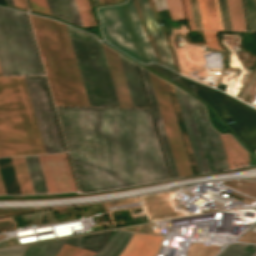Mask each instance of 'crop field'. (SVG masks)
I'll use <instances>...</instances> for the list:
<instances>
[{
	"mask_svg": "<svg viewBox=\"0 0 256 256\" xmlns=\"http://www.w3.org/2000/svg\"><path fill=\"white\" fill-rule=\"evenodd\" d=\"M128 4V7H129V10H130V14H131V17H132V20H133V23H134V26H135V30H136V33H137V36L144 48V51L149 59L150 62H157V59H156V56H155V53L140 25V22H139V19H138V16H137V13L135 11V8H134V5H133V2L132 0H129L127 2ZM140 34H142L143 36H140ZM158 63V62H157Z\"/></svg>",
	"mask_w": 256,
	"mask_h": 256,
	"instance_id": "92a150f3",
	"label": "crop field"
},
{
	"mask_svg": "<svg viewBox=\"0 0 256 256\" xmlns=\"http://www.w3.org/2000/svg\"><path fill=\"white\" fill-rule=\"evenodd\" d=\"M188 99H189L190 106H191V109H192V112H193V116H194V119H195L197 130H198V133H199V136H200V140H201V143H202L204 154H205V157H206V160H207L209 171L210 172L216 171L214 163H213V159H212V156H211V153H210V149H209V146H208V142H207V139H206V135H205V132H204V129H203V125H202V122H201V118H200V115H199V111H198V108H197V105H196V101H195V99H193L189 95H188Z\"/></svg>",
	"mask_w": 256,
	"mask_h": 256,
	"instance_id": "bc2a9ffb",
	"label": "crop field"
},
{
	"mask_svg": "<svg viewBox=\"0 0 256 256\" xmlns=\"http://www.w3.org/2000/svg\"><path fill=\"white\" fill-rule=\"evenodd\" d=\"M94 3H95V5L100 4V3H99V0H94Z\"/></svg>",
	"mask_w": 256,
	"mask_h": 256,
	"instance_id": "0fb4a251",
	"label": "crop field"
},
{
	"mask_svg": "<svg viewBox=\"0 0 256 256\" xmlns=\"http://www.w3.org/2000/svg\"><path fill=\"white\" fill-rule=\"evenodd\" d=\"M117 2H119V1H122V0H116Z\"/></svg>",
	"mask_w": 256,
	"mask_h": 256,
	"instance_id": "0765c3eb",
	"label": "crop field"
},
{
	"mask_svg": "<svg viewBox=\"0 0 256 256\" xmlns=\"http://www.w3.org/2000/svg\"><path fill=\"white\" fill-rule=\"evenodd\" d=\"M142 2H143V5H144V7H145L149 17H150V20H151L153 26L156 28V30L158 32V35H159V37H160V39L162 41V44H163V47L165 49L167 60L169 62L170 68L173 69V64H172V60H171V53H170V51H169V49L167 47V44H166V41H165V39L163 37L162 31H161V29H160V27H159V25H158L154 15H153V12H152V10L150 8V5H149L147 0H142Z\"/></svg>",
	"mask_w": 256,
	"mask_h": 256,
	"instance_id": "d3111659",
	"label": "crop field"
},
{
	"mask_svg": "<svg viewBox=\"0 0 256 256\" xmlns=\"http://www.w3.org/2000/svg\"><path fill=\"white\" fill-rule=\"evenodd\" d=\"M215 2H216V7H217V12H218V17H219L220 28H221V30H223V28H222V23H221L220 12H219V7H218V1H217V0H215Z\"/></svg>",
	"mask_w": 256,
	"mask_h": 256,
	"instance_id": "89e229c0",
	"label": "crop field"
},
{
	"mask_svg": "<svg viewBox=\"0 0 256 256\" xmlns=\"http://www.w3.org/2000/svg\"><path fill=\"white\" fill-rule=\"evenodd\" d=\"M26 246L0 250V256H21Z\"/></svg>",
	"mask_w": 256,
	"mask_h": 256,
	"instance_id": "b54c1fbb",
	"label": "crop field"
},
{
	"mask_svg": "<svg viewBox=\"0 0 256 256\" xmlns=\"http://www.w3.org/2000/svg\"><path fill=\"white\" fill-rule=\"evenodd\" d=\"M56 106H84L58 22L29 15Z\"/></svg>",
	"mask_w": 256,
	"mask_h": 256,
	"instance_id": "34b2d1b8",
	"label": "crop field"
},
{
	"mask_svg": "<svg viewBox=\"0 0 256 256\" xmlns=\"http://www.w3.org/2000/svg\"><path fill=\"white\" fill-rule=\"evenodd\" d=\"M204 30H211L205 0H198Z\"/></svg>",
	"mask_w": 256,
	"mask_h": 256,
	"instance_id": "0bd39190",
	"label": "crop field"
},
{
	"mask_svg": "<svg viewBox=\"0 0 256 256\" xmlns=\"http://www.w3.org/2000/svg\"><path fill=\"white\" fill-rule=\"evenodd\" d=\"M6 156H11L8 145L5 139V135L2 129V125L0 122V157H6Z\"/></svg>",
	"mask_w": 256,
	"mask_h": 256,
	"instance_id": "c21b1889",
	"label": "crop field"
},
{
	"mask_svg": "<svg viewBox=\"0 0 256 256\" xmlns=\"http://www.w3.org/2000/svg\"><path fill=\"white\" fill-rule=\"evenodd\" d=\"M5 1H6V3L9 4V5L15 6L13 0H5Z\"/></svg>",
	"mask_w": 256,
	"mask_h": 256,
	"instance_id": "dbb93151",
	"label": "crop field"
},
{
	"mask_svg": "<svg viewBox=\"0 0 256 256\" xmlns=\"http://www.w3.org/2000/svg\"><path fill=\"white\" fill-rule=\"evenodd\" d=\"M22 194H35L23 157L11 158Z\"/></svg>",
	"mask_w": 256,
	"mask_h": 256,
	"instance_id": "214f88e0",
	"label": "crop field"
},
{
	"mask_svg": "<svg viewBox=\"0 0 256 256\" xmlns=\"http://www.w3.org/2000/svg\"><path fill=\"white\" fill-rule=\"evenodd\" d=\"M0 119L12 156L45 153L23 77H0Z\"/></svg>",
	"mask_w": 256,
	"mask_h": 256,
	"instance_id": "ac0d7876",
	"label": "crop field"
},
{
	"mask_svg": "<svg viewBox=\"0 0 256 256\" xmlns=\"http://www.w3.org/2000/svg\"><path fill=\"white\" fill-rule=\"evenodd\" d=\"M110 231L82 236L81 247L99 252L105 245Z\"/></svg>",
	"mask_w": 256,
	"mask_h": 256,
	"instance_id": "a9b5d70f",
	"label": "crop field"
},
{
	"mask_svg": "<svg viewBox=\"0 0 256 256\" xmlns=\"http://www.w3.org/2000/svg\"><path fill=\"white\" fill-rule=\"evenodd\" d=\"M197 105L200 111L201 118L203 119V125L208 138L213 159L216 165V169L217 170L229 169L225 155H224V151L220 142L219 135L209 126L204 106L200 104L198 101H197Z\"/></svg>",
	"mask_w": 256,
	"mask_h": 256,
	"instance_id": "cbeb9de0",
	"label": "crop field"
},
{
	"mask_svg": "<svg viewBox=\"0 0 256 256\" xmlns=\"http://www.w3.org/2000/svg\"><path fill=\"white\" fill-rule=\"evenodd\" d=\"M120 106L133 107L117 53L103 45Z\"/></svg>",
	"mask_w": 256,
	"mask_h": 256,
	"instance_id": "3316defc",
	"label": "crop field"
},
{
	"mask_svg": "<svg viewBox=\"0 0 256 256\" xmlns=\"http://www.w3.org/2000/svg\"><path fill=\"white\" fill-rule=\"evenodd\" d=\"M175 91H176V94H177V97H178V101H179L180 108H181V111H182V114H183V118H184V121H185V124H186V128H187L188 135H189V138H190V141H191V145H192L193 152H194V155H195V158H196V162H197V165H198V168H199V172L202 173L204 171H203L202 164H201V161H200V158H199V154H198V151H197V148H196V144H195V141H194V138H193V134H192V131H191V128H190V124H189V121H188V118H187V114H186V111H185V108H184V104H183V101H182V98H181V94H180L179 89H177L176 87H175Z\"/></svg>",
	"mask_w": 256,
	"mask_h": 256,
	"instance_id": "ae1a2a85",
	"label": "crop field"
},
{
	"mask_svg": "<svg viewBox=\"0 0 256 256\" xmlns=\"http://www.w3.org/2000/svg\"><path fill=\"white\" fill-rule=\"evenodd\" d=\"M224 30H232L226 0H218Z\"/></svg>",
	"mask_w": 256,
	"mask_h": 256,
	"instance_id": "028f5c9d",
	"label": "crop field"
},
{
	"mask_svg": "<svg viewBox=\"0 0 256 256\" xmlns=\"http://www.w3.org/2000/svg\"><path fill=\"white\" fill-rule=\"evenodd\" d=\"M140 71H141V74H142V77H143V81H144L145 88H146V91H147V95H148V98H149V101H150V105H151L152 112H153V115H154V119H155V122H156V125H157V129H158L159 136H160V139H161V143H162V146H163V149H164V153H165L166 160H167V163H168V167H169V170H170V173H171V177L172 178L178 177L176 169H175V165H174V162H173V158H172V155H171V151H170V148H169V144H168V141H167V138H166V134H165V131H164V127H163V124H162V121H161V117H160V114H159V110H158V107H157V104H156V100H155V97H154V94H153L151 83H150V80H149V77H148V73H147V71H145L141 67H140Z\"/></svg>",
	"mask_w": 256,
	"mask_h": 256,
	"instance_id": "28ad6ade",
	"label": "crop field"
},
{
	"mask_svg": "<svg viewBox=\"0 0 256 256\" xmlns=\"http://www.w3.org/2000/svg\"><path fill=\"white\" fill-rule=\"evenodd\" d=\"M0 194H6L5 190H4V186H3L2 180H1V176H0Z\"/></svg>",
	"mask_w": 256,
	"mask_h": 256,
	"instance_id": "1f2cbd36",
	"label": "crop field"
},
{
	"mask_svg": "<svg viewBox=\"0 0 256 256\" xmlns=\"http://www.w3.org/2000/svg\"><path fill=\"white\" fill-rule=\"evenodd\" d=\"M0 67L3 75L42 74L25 14L0 7Z\"/></svg>",
	"mask_w": 256,
	"mask_h": 256,
	"instance_id": "f4fd0767",
	"label": "crop field"
},
{
	"mask_svg": "<svg viewBox=\"0 0 256 256\" xmlns=\"http://www.w3.org/2000/svg\"><path fill=\"white\" fill-rule=\"evenodd\" d=\"M136 2H137V4H138V6H139V9H140L141 14H142V16H143V19H144V21H145V23H146V26H147V28H148V31H149V33H150V35H151V37H152V39H153V41H154V43H155L157 49H158V51H159V54H160V56H161V58H162V63H163V65L169 68V65H168V63H167L166 56H165V52H164V50H163L161 41H160L158 35L155 36L156 31L153 29V27H152L151 24H150L149 18H148L147 14H146V11H145V9H144L142 3H141V0H136Z\"/></svg>",
	"mask_w": 256,
	"mask_h": 256,
	"instance_id": "730fd06b",
	"label": "crop field"
},
{
	"mask_svg": "<svg viewBox=\"0 0 256 256\" xmlns=\"http://www.w3.org/2000/svg\"><path fill=\"white\" fill-rule=\"evenodd\" d=\"M0 75H2V74H1V70H0Z\"/></svg>",
	"mask_w": 256,
	"mask_h": 256,
	"instance_id": "7b73153f",
	"label": "crop field"
},
{
	"mask_svg": "<svg viewBox=\"0 0 256 256\" xmlns=\"http://www.w3.org/2000/svg\"><path fill=\"white\" fill-rule=\"evenodd\" d=\"M100 3L103 4L102 0H100Z\"/></svg>",
	"mask_w": 256,
	"mask_h": 256,
	"instance_id": "447ae74e",
	"label": "crop field"
},
{
	"mask_svg": "<svg viewBox=\"0 0 256 256\" xmlns=\"http://www.w3.org/2000/svg\"><path fill=\"white\" fill-rule=\"evenodd\" d=\"M190 3H191V8H192L195 28H196V30H203L201 18H200L199 7H198V2H197V0H190Z\"/></svg>",
	"mask_w": 256,
	"mask_h": 256,
	"instance_id": "b80d0937",
	"label": "crop field"
},
{
	"mask_svg": "<svg viewBox=\"0 0 256 256\" xmlns=\"http://www.w3.org/2000/svg\"><path fill=\"white\" fill-rule=\"evenodd\" d=\"M120 10L125 21L130 39L136 49V52L142 63H149L142 46L136 36L133 23L128 11L127 4L120 5ZM119 7L99 8V17L105 40L115 46L122 52L128 54L134 59L139 60L135 49L129 39L125 24L123 22Z\"/></svg>",
	"mask_w": 256,
	"mask_h": 256,
	"instance_id": "dd49c442",
	"label": "crop field"
},
{
	"mask_svg": "<svg viewBox=\"0 0 256 256\" xmlns=\"http://www.w3.org/2000/svg\"><path fill=\"white\" fill-rule=\"evenodd\" d=\"M145 66H147V67H149V68H151V69H153V70H155V71H157V72L167 76L170 79L174 78L175 79V80H173L174 82H176L177 84L181 85L182 87H184L185 89L189 90L192 93L201 86V84L194 83V82L189 81V80H187V79H185V78H183L181 76L179 78L178 77L179 75H177V74H175V73H173V72H171V71H169V70H167V69H165V68H163V67H161V66H159L157 64H148V65H145ZM193 84H194L195 87L191 86Z\"/></svg>",
	"mask_w": 256,
	"mask_h": 256,
	"instance_id": "4177f3b9",
	"label": "crop field"
},
{
	"mask_svg": "<svg viewBox=\"0 0 256 256\" xmlns=\"http://www.w3.org/2000/svg\"><path fill=\"white\" fill-rule=\"evenodd\" d=\"M212 30H220L214 0H206Z\"/></svg>",
	"mask_w": 256,
	"mask_h": 256,
	"instance_id": "5866460e",
	"label": "crop field"
},
{
	"mask_svg": "<svg viewBox=\"0 0 256 256\" xmlns=\"http://www.w3.org/2000/svg\"><path fill=\"white\" fill-rule=\"evenodd\" d=\"M161 237L133 233L120 256H155Z\"/></svg>",
	"mask_w": 256,
	"mask_h": 256,
	"instance_id": "22f410ed",
	"label": "crop field"
},
{
	"mask_svg": "<svg viewBox=\"0 0 256 256\" xmlns=\"http://www.w3.org/2000/svg\"><path fill=\"white\" fill-rule=\"evenodd\" d=\"M153 1L157 10L167 9L165 0H153Z\"/></svg>",
	"mask_w": 256,
	"mask_h": 256,
	"instance_id": "25e5ab78",
	"label": "crop field"
},
{
	"mask_svg": "<svg viewBox=\"0 0 256 256\" xmlns=\"http://www.w3.org/2000/svg\"><path fill=\"white\" fill-rule=\"evenodd\" d=\"M166 2L173 21L184 19L180 0H166Z\"/></svg>",
	"mask_w": 256,
	"mask_h": 256,
	"instance_id": "d32e631a",
	"label": "crop field"
},
{
	"mask_svg": "<svg viewBox=\"0 0 256 256\" xmlns=\"http://www.w3.org/2000/svg\"><path fill=\"white\" fill-rule=\"evenodd\" d=\"M104 4L110 3L109 0H103Z\"/></svg>",
	"mask_w": 256,
	"mask_h": 256,
	"instance_id": "1d79db26",
	"label": "crop field"
},
{
	"mask_svg": "<svg viewBox=\"0 0 256 256\" xmlns=\"http://www.w3.org/2000/svg\"><path fill=\"white\" fill-rule=\"evenodd\" d=\"M38 156L49 193L76 191L65 153Z\"/></svg>",
	"mask_w": 256,
	"mask_h": 256,
	"instance_id": "5a996713",
	"label": "crop field"
},
{
	"mask_svg": "<svg viewBox=\"0 0 256 256\" xmlns=\"http://www.w3.org/2000/svg\"><path fill=\"white\" fill-rule=\"evenodd\" d=\"M256 251V246L248 245L239 256H252Z\"/></svg>",
	"mask_w": 256,
	"mask_h": 256,
	"instance_id": "425ffa30",
	"label": "crop field"
},
{
	"mask_svg": "<svg viewBox=\"0 0 256 256\" xmlns=\"http://www.w3.org/2000/svg\"><path fill=\"white\" fill-rule=\"evenodd\" d=\"M46 153L65 151L43 76L24 77Z\"/></svg>",
	"mask_w": 256,
	"mask_h": 256,
	"instance_id": "e52e79f7",
	"label": "crop field"
},
{
	"mask_svg": "<svg viewBox=\"0 0 256 256\" xmlns=\"http://www.w3.org/2000/svg\"><path fill=\"white\" fill-rule=\"evenodd\" d=\"M82 21L84 25H96L88 0H76Z\"/></svg>",
	"mask_w": 256,
	"mask_h": 256,
	"instance_id": "bd1437ed",
	"label": "crop field"
},
{
	"mask_svg": "<svg viewBox=\"0 0 256 256\" xmlns=\"http://www.w3.org/2000/svg\"><path fill=\"white\" fill-rule=\"evenodd\" d=\"M246 244L233 243L221 252L218 256H238V254L246 247Z\"/></svg>",
	"mask_w": 256,
	"mask_h": 256,
	"instance_id": "e1f06a70",
	"label": "crop field"
},
{
	"mask_svg": "<svg viewBox=\"0 0 256 256\" xmlns=\"http://www.w3.org/2000/svg\"><path fill=\"white\" fill-rule=\"evenodd\" d=\"M181 94H182V98H183L185 108H186V111H187V114H188V118H189V121H190V124H191V128H192V131H193V134H194V138H195V141H196V144H197V148H198V151H199V154H200V158H201V161H202V164H203L204 171L209 172L207 164H206V160H205V157H204V154H203V150H202V147H201V143H200V140H199V136H198V133H197V130H196V126H195V123H194V119H193V116H192V112H191V109H190V106H189L187 95H186V93H184L182 91H181Z\"/></svg>",
	"mask_w": 256,
	"mask_h": 256,
	"instance_id": "eef30255",
	"label": "crop field"
},
{
	"mask_svg": "<svg viewBox=\"0 0 256 256\" xmlns=\"http://www.w3.org/2000/svg\"><path fill=\"white\" fill-rule=\"evenodd\" d=\"M51 14L77 25H83L75 0H47Z\"/></svg>",
	"mask_w": 256,
	"mask_h": 256,
	"instance_id": "5142ce71",
	"label": "crop field"
},
{
	"mask_svg": "<svg viewBox=\"0 0 256 256\" xmlns=\"http://www.w3.org/2000/svg\"><path fill=\"white\" fill-rule=\"evenodd\" d=\"M111 1V3H115L116 1L115 0H110Z\"/></svg>",
	"mask_w": 256,
	"mask_h": 256,
	"instance_id": "9d1cf04e",
	"label": "crop field"
},
{
	"mask_svg": "<svg viewBox=\"0 0 256 256\" xmlns=\"http://www.w3.org/2000/svg\"><path fill=\"white\" fill-rule=\"evenodd\" d=\"M95 252L63 244L57 256H92Z\"/></svg>",
	"mask_w": 256,
	"mask_h": 256,
	"instance_id": "1d83c4d3",
	"label": "crop field"
},
{
	"mask_svg": "<svg viewBox=\"0 0 256 256\" xmlns=\"http://www.w3.org/2000/svg\"><path fill=\"white\" fill-rule=\"evenodd\" d=\"M119 59L125 75L133 106L148 107L135 64L121 55H119Z\"/></svg>",
	"mask_w": 256,
	"mask_h": 256,
	"instance_id": "d1516ede",
	"label": "crop field"
},
{
	"mask_svg": "<svg viewBox=\"0 0 256 256\" xmlns=\"http://www.w3.org/2000/svg\"><path fill=\"white\" fill-rule=\"evenodd\" d=\"M221 136H222V140H223L224 147H225V150H226V154H227V157H228V161H229V164H230V168L233 169L235 167L233 165V161H232V158H231V154H230V150H229L228 143H227V140H226V136L225 135H221Z\"/></svg>",
	"mask_w": 256,
	"mask_h": 256,
	"instance_id": "d23c7cc5",
	"label": "crop field"
},
{
	"mask_svg": "<svg viewBox=\"0 0 256 256\" xmlns=\"http://www.w3.org/2000/svg\"><path fill=\"white\" fill-rule=\"evenodd\" d=\"M233 30L246 31L240 0H227Z\"/></svg>",
	"mask_w": 256,
	"mask_h": 256,
	"instance_id": "dafd665d",
	"label": "crop field"
},
{
	"mask_svg": "<svg viewBox=\"0 0 256 256\" xmlns=\"http://www.w3.org/2000/svg\"><path fill=\"white\" fill-rule=\"evenodd\" d=\"M226 136L232 153L234 164H236L235 167L238 168L242 167L241 165H249L248 163H250V160L247 152L231 135L227 134Z\"/></svg>",
	"mask_w": 256,
	"mask_h": 256,
	"instance_id": "00972430",
	"label": "crop field"
},
{
	"mask_svg": "<svg viewBox=\"0 0 256 256\" xmlns=\"http://www.w3.org/2000/svg\"><path fill=\"white\" fill-rule=\"evenodd\" d=\"M36 194L48 193L37 155L24 156Z\"/></svg>",
	"mask_w": 256,
	"mask_h": 256,
	"instance_id": "733c2abd",
	"label": "crop field"
},
{
	"mask_svg": "<svg viewBox=\"0 0 256 256\" xmlns=\"http://www.w3.org/2000/svg\"><path fill=\"white\" fill-rule=\"evenodd\" d=\"M132 233L117 231L99 253L93 256H117L128 242Z\"/></svg>",
	"mask_w": 256,
	"mask_h": 256,
	"instance_id": "4a817a6b",
	"label": "crop field"
},
{
	"mask_svg": "<svg viewBox=\"0 0 256 256\" xmlns=\"http://www.w3.org/2000/svg\"><path fill=\"white\" fill-rule=\"evenodd\" d=\"M215 32L216 31H202L205 43L211 48L221 49L216 42Z\"/></svg>",
	"mask_w": 256,
	"mask_h": 256,
	"instance_id": "03da06ac",
	"label": "crop field"
},
{
	"mask_svg": "<svg viewBox=\"0 0 256 256\" xmlns=\"http://www.w3.org/2000/svg\"><path fill=\"white\" fill-rule=\"evenodd\" d=\"M14 2H15V5H16L17 7H21V8L28 9L25 0H14Z\"/></svg>",
	"mask_w": 256,
	"mask_h": 256,
	"instance_id": "73cf0c24",
	"label": "crop field"
},
{
	"mask_svg": "<svg viewBox=\"0 0 256 256\" xmlns=\"http://www.w3.org/2000/svg\"><path fill=\"white\" fill-rule=\"evenodd\" d=\"M61 28H62V31H63V34H64V38H65V41H66V44H67V48H68V51H69V54H70V58H71V61H72V64H73V68H74L75 75H76V78H77V81H78V85H79V88H80V91H81V95H82V98H83V101H84V105L89 106L88 102H87L85 92H84V88H83V85H82V82H81V79H80V75H79V72H78V69H77V66H76V62H75V59H74V56H73V52H72V49H71V46H70V43H69V39H68V36H67V33H66L65 26L63 24H61Z\"/></svg>",
	"mask_w": 256,
	"mask_h": 256,
	"instance_id": "750c4746",
	"label": "crop field"
},
{
	"mask_svg": "<svg viewBox=\"0 0 256 256\" xmlns=\"http://www.w3.org/2000/svg\"><path fill=\"white\" fill-rule=\"evenodd\" d=\"M77 239H78L79 245H78ZM80 241H81V236H78V237H72V238L59 240L55 242L29 245L25 250L23 256H55L62 243L80 247ZM34 249H44V250H34Z\"/></svg>",
	"mask_w": 256,
	"mask_h": 256,
	"instance_id": "d9b57169",
	"label": "crop field"
},
{
	"mask_svg": "<svg viewBox=\"0 0 256 256\" xmlns=\"http://www.w3.org/2000/svg\"><path fill=\"white\" fill-rule=\"evenodd\" d=\"M30 3L34 11L50 14L46 0H30Z\"/></svg>",
	"mask_w": 256,
	"mask_h": 256,
	"instance_id": "c035e120",
	"label": "crop field"
},
{
	"mask_svg": "<svg viewBox=\"0 0 256 256\" xmlns=\"http://www.w3.org/2000/svg\"><path fill=\"white\" fill-rule=\"evenodd\" d=\"M250 31H256V0H244Z\"/></svg>",
	"mask_w": 256,
	"mask_h": 256,
	"instance_id": "120bbe31",
	"label": "crop field"
},
{
	"mask_svg": "<svg viewBox=\"0 0 256 256\" xmlns=\"http://www.w3.org/2000/svg\"><path fill=\"white\" fill-rule=\"evenodd\" d=\"M253 256H256V252H255V254Z\"/></svg>",
	"mask_w": 256,
	"mask_h": 256,
	"instance_id": "db79e9e6",
	"label": "crop field"
},
{
	"mask_svg": "<svg viewBox=\"0 0 256 256\" xmlns=\"http://www.w3.org/2000/svg\"><path fill=\"white\" fill-rule=\"evenodd\" d=\"M188 24L191 30H195L189 0H183Z\"/></svg>",
	"mask_w": 256,
	"mask_h": 256,
	"instance_id": "5d738f31",
	"label": "crop field"
},
{
	"mask_svg": "<svg viewBox=\"0 0 256 256\" xmlns=\"http://www.w3.org/2000/svg\"><path fill=\"white\" fill-rule=\"evenodd\" d=\"M56 109L81 192L169 178L148 109Z\"/></svg>",
	"mask_w": 256,
	"mask_h": 256,
	"instance_id": "8a807250",
	"label": "crop field"
},
{
	"mask_svg": "<svg viewBox=\"0 0 256 256\" xmlns=\"http://www.w3.org/2000/svg\"><path fill=\"white\" fill-rule=\"evenodd\" d=\"M149 76L156 96L158 107L161 113V117L164 123V127L173 154L175 165L178 171V175L182 176L192 174L184 150V146L181 140V136L178 130V126L175 120V116L172 110V106L169 100V96L166 90L165 83L163 80L155 77L150 73Z\"/></svg>",
	"mask_w": 256,
	"mask_h": 256,
	"instance_id": "d8731c3e",
	"label": "crop field"
},
{
	"mask_svg": "<svg viewBox=\"0 0 256 256\" xmlns=\"http://www.w3.org/2000/svg\"><path fill=\"white\" fill-rule=\"evenodd\" d=\"M66 29L89 105L119 106L101 43L93 35Z\"/></svg>",
	"mask_w": 256,
	"mask_h": 256,
	"instance_id": "412701ff",
	"label": "crop field"
}]
</instances>
